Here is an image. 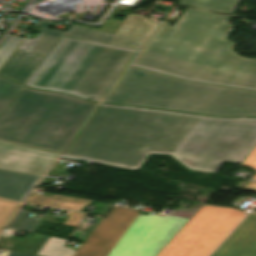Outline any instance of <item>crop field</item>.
Returning <instances> with one entry per match:
<instances>
[{"label": "crop field", "instance_id": "crop-field-1", "mask_svg": "<svg viewBox=\"0 0 256 256\" xmlns=\"http://www.w3.org/2000/svg\"><path fill=\"white\" fill-rule=\"evenodd\" d=\"M256 146V118H216L101 104L63 156L138 169L149 154L214 173Z\"/></svg>", "mask_w": 256, "mask_h": 256}, {"label": "crop field", "instance_id": "crop-field-2", "mask_svg": "<svg viewBox=\"0 0 256 256\" xmlns=\"http://www.w3.org/2000/svg\"><path fill=\"white\" fill-rule=\"evenodd\" d=\"M230 17L186 9L164 22L132 66L210 84L256 90V60L242 58L224 37Z\"/></svg>", "mask_w": 256, "mask_h": 256}, {"label": "crop field", "instance_id": "crop-field-3", "mask_svg": "<svg viewBox=\"0 0 256 256\" xmlns=\"http://www.w3.org/2000/svg\"><path fill=\"white\" fill-rule=\"evenodd\" d=\"M103 102L213 116H256V92L185 81L130 67Z\"/></svg>", "mask_w": 256, "mask_h": 256}, {"label": "crop field", "instance_id": "crop-field-4", "mask_svg": "<svg viewBox=\"0 0 256 256\" xmlns=\"http://www.w3.org/2000/svg\"><path fill=\"white\" fill-rule=\"evenodd\" d=\"M137 52L62 36L26 85L102 99Z\"/></svg>", "mask_w": 256, "mask_h": 256}, {"label": "crop field", "instance_id": "crop-field-5", "mask_svg": "<svg viewBox=\"0 0 256 256\" xmlns=\"http://www.w3.org/2000/svg\"><path fill=\"white\" fill-rule=\"evenodd\" d=\"M96 106L24 86L0 117V140L60 153Z\"/></svg>", "mask_w": 256, "mask_h": 256}, {"label": "crop field", "instance_id": "crop-field-6", "mask_svg": "<svg viewBox=\"0 0 256 256\" xmlns=\"http://www.w3.org/2000/svg\"><path fill=\"white\" fill-rule=\"evenodd\" d=\"M187 221L114 207L74 256H156Z\"/></svg>", "mask_w": 256, "mask_h": 256}, {"label": "crop field", "instance_id": "crop-field-7", "mask_svg": "<svg viewBox=\"0 0 256 256\" xmlns=\"http://www.w3.org/2000/svg\"><path fill=\"white\" fill-rule=\"evenodd\" d=\"M245 212L203 205L157 256H208Z\"/></svg>", "mask_w": 256, "mask_h": 256}, {"label": "crop field", "instance_id": "crop-field-8", "mask_svg": "<svg viewBox=\"0 0 256 256\" xmlns=\"http://www.w3.org/2000/svg\"><path fill=\"white\" fill-rule=\"evenodd\" d=\"M52 23L40 21L43 28L34 39L24 40L9 61L0 70V75L23 85L28 81L36 68L63 35V31L47 29ZM33 46L31 51H27Z\"/></svg>", "mask_w": 256, "mask_h": 256}, {"label": "crop field", "instance_id": "crop-field-9", "mask_svg": "<svg viewBox=\"0 0 256 256\" xmlns=\"http://www.w3.org/2000/svg\"><path fill=\"white\" fill-rule=\"evenodd\" d=\"M159 23L128 14L114 34L71 26L64 36L140 49Z\"/></svg>", "mask_w": 256, "mask_h": 256}, {"label": "crop field", "instance_id": "crop-field-10", "mask_svg": "<svg viewBox=\"0 0 256 256\" xmlns=\"http://www.w3.org/2000/svg\"><path fill=\"white\" fill-rule=\"evenodd\" d=\"M57 155L0 141V168L3 169L42 176Z\"/></svg>", "mask_w": 256, "mask_h": 256}, {"label": "crop field", "instance_id": "crop-field-11", "mask_svg": "<svg viewBox=\"0 0 256 256\" xmlns=\"http://www.w3.org/2000/svg\"><path fill=\"white\" fill-rule=\"evenodd\" d=\"M212 256H256V212H251Z\"/></svg>", "mask_w": 256, "mask_h": 256}, {"label": "crop field", "instance_id": "crop-field-12", "mask_svg": "<svg viewBox=\"0 0 256 256\" xmlns=\"http://www.w3.org/2000/svg\"><path fill=\"white\" fill-rule=\"evenodd\" d=\"M40 176L0 169V197L22 202Z\"/></svg>", "mask_w": 256, "mask_h": 256}, {"label": "crop field", "instance_id": "crop-field-13", "mask_svg": "<svg viewBox=\"0 0 256 256\" xmlns=\"http://www.w3.org/2000/svg\"><path fill=\"white\" fill-rule=\"evenodd\" d=\"M49 237L33 234L27 241H17L0 236V248L36 254Z\"/></svg>", "mask_w": 256, "mask_h": 256}, {"label": "crop field", "instance_id": "crop-field-14", "mask_svg": "<svg viewBox=\"0 0 256 256\" xmlns=\"http://www.w3.org/2000/svg\"><path fill=\"white\" fill-rule=\"evenodd\" d=\"M238 2L239 0H180L181 5L225 14L233 13Z\"/></svg>", "mask_w": 256, "mask_h": 256}, {"label": "crop field", "instance_id": "crop-field-15", "mask_svg": "<svg viewBox=\"0 0 256 256\" xmlns=\"http://www.w3.org/2000/svg\"><path fill=\"white\" fill-rule=\"evenodd\" d=\"M66 240L50 237L43 247L38 251V255L43 256H73L76 251L70 247H63Z\"/></svg>", "mask_w": 256, "mask_h": 256}, {"label": "crop field", "instance_id": "crop-field-16", "mask_svg": "<svg viewBox=\"0 0 256 256\" xmlns=\"http://www.w3.org/2000/svg\"><path fill=\"white\" fill-rule=\"evenodd\" d=\"M22 87V85L0 78V116Z\"/></svg>", "mask_w": 256, "mask_h": 256}, {"label": "crop field", "instance_id": "crop-field-17", "mask_svg": "<svg viewBox=\"0 0 256 256\" xmlns=\"http://www.w3.org/2000/svg\"><path fill=\"white\" fill-rule=\"evenodd\" d=\"M30 213L29 211L19 210L7 228L31 232L40 219L35 217L28 218L27 216Z\"/></svg>", "mask_w": 256, "mask_h": 256}, {"label": "crop field", "instance_id": "crop-field-18", "mask_svg": "<svg viewBox=\"0 0 256 256\" xmlns=\"http://www.w3.org/2000/svg\"><path fill=\"white\" fill-rule=\"evenodd\" d=\"M64 199H65L64 196L51 194V193H47L45 197L31 194L26 202L34 203V204H40V205L59 207V205L62 203V201Z\"/></svg>", "mask_w": 256, "mask_h": 256}, {"label": "crop field", "instance_id": "crop-field-19", "mask_svg": "<svg viewBox=\"0 0 256 256\" xmlns=\"http://www.w3.org/2000/svg\"><path fill=\"white\" fill-rule=\"evenodd\" d=\"M20 204L0 200V230L18 209Z\"/></svg>", "mask_w": 256, "mask_h": 256}, {"label": "crop field", "instance_id": "crop-field-20", "mask_svg": "<svg viewBox=\"0 0 256 256\" xmlns=\"http://www.w3.org/2000/svg\"><path fill=\"white\" fill-rule=\"evenodd\" d=\"M21 39L8 37L3 46L0 48V67L6 61V59L11 55V53L16 49V47L21 43Z\"/></svg>", "mask_w": 256, "mask_h": 256}, {"label": "crop field", "instance_id": "crop-field-21", "mask_svg": "<svg viewBox=\"0 0 256 256\" xmlns=\"http://www.w3.org/2000/svg\"><path fill=\"white\" fill-rule=\"evenodd\" d=\"M89 202L92 201L66 197L60 207L80 211L83 206H88Z\"/></svg>", "mask_w": 256, "mask_h": 256}, {"label": "crop field", "instance_id": "crop-field-22", "mask_svg": "<svg viewBox=\"0 0 256 256\" xmlns=\"http://www.w3.org/2000/svg\"><path fill=\"white\" fill-rule=\"evenodd\" d=\"M243 166L251 167L256 170V147L255 149L246 157V159L241 163ZM256 179V174L253 180Z\"/></svg>", "mask_w": 256, "mask_h": 256}, {"label": "crop field", "instance_id": "crop-field-23", "mask_svg": "<svg viewBox=\"0 0 256 256\" xmlns=\"http://www.w3.org/2000/svg\"><path fill=\"white\" fill-rule=\"evenodd\" d=\"M83 216V214L72 212L64 224L76 227L80 220L83 218Z\"/></svg>", "mask_w": 256, "mask_h": 256}, {"label": "crop field", "instance_id": "crop-field-24", "mask_svg": "<svg viewBox=\"0 0 256 256\" xmlns=\"http://www.w3.org/2000/svg\"><path fill=\"white\" fill-rule=\"evenodd\" d=\"M243 189L251 190V191H256V182L248 181Z\"/></svg>", "mask_w": 256, "mask_h": 256}, {"label": "crop field", "instance_id": "crop-field-25", "mask_svg": "<svg viewBox=\"0 0 256 256\" xmlns=\"http://www.w3.org/2000/svg\"><path fill=\"white\" fill-rule=\"evenodd\" d=\"M110 206H111V204H105L104 206H103V208L100 210V212L98 213V215H104L105 214V212L110 208Z\"/></svg>", "mask_w": 256, "mask_h": 256}, {"label": "crop field", "instance_id": "crop-field-26", "mask_svg": "<svg viewBox=\"0 0 256 256\" xmlns=\"http://www.w3.org/2000/svg\"><path fill=\"white\" fill-rule=\"evenodd\" d=\"M8 256H34V255H28V254H23V253H17V252H11L10 251Z\"/></svg>", "mask_w": 256, "mask_h": 256}]
</instances>
